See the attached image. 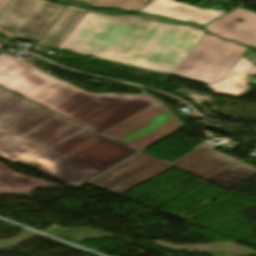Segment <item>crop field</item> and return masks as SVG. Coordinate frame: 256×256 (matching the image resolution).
Instances as JSON below:
<instances>
[{
	"label": "crop field",
	"mask_w": 256,
	"mask_h": 256,
	"mask_svg": "<svg viewBox=\"0 0 256 256\" xmlns=\"http://www.w3.org/2000/svg\"><path fill=\"white\" fill-rule=\"evenodd\" d=\"M137 152L0 88L1 157L83 184Z\"/></svg>",
	"instance_id": "obj_1"
},
{
	"label": "crop field",
	"mask_w": 256,
	"mask_h": 256,
	"mask_svg": "<svg viewBox=\"0 0 256 256\" xmlns=\"http://www.w3.org/2000/svg\"><path fill=\"white\" fill-rule=\"evenodd\" d=\"M205 31L87 12L59 48L171 75Z\"/></svg>",
	"instance_id": "obj_2"
},
{
	"label": "crop field",
	"mask_w": 256,
	"mask_h": 256,
	"mask_svg": "<svg viewBox=\"0 0 256 256\" xmlns=\"http://www.w3.org/2000/svg\"><path fill=\"white\" fill-rule=\"evenodd\" d=\"M0 86L101 133L158 101L148 94H91L8 54H0Z\"/></svg>",
	"instance_id": "obj_3"
},
{
	"label": "crop field",
	"mask_w": 256,
	"mask_h": 256,
	"mask_svg": "<svg viewBox=\"0 0 256 256\" xmlns=\"http://www.w3.org/2000/svg\"><path fill=\"white\" fill-rule=\"evenodd\" d=\"M244 50L241 45L205 33L172 75L205 85L222 81Z\"/></svg>",
	"instance_id": "obj_4"
},
{
	"label": "crop field",
	"mask_w": 256,
	"mask_h": 256,
	"mask_svg": "<svg viewBox=\"0 0 256 256\" xmlns=\"http://www.w3.org/2000/svg\"><path fill=\"white\" fill-rule=\"evenodd\" d=\"M183 125L158 101L103 134L141 150Z\"/></svg>",
	"instance_id": "obj_5"
},
{
	"label": "crop field",
	"mask_w": 256,
	"mask_h": 256,
	"mask_svg": "<svg viewBox=\"0 0 256 256\" xmlns=\"http://www.w3.org/2000/svg\"><path fill=\"white\" fill-rule=\"evenodd\" d=\"M63 8L44 0H13L0 17V30L10 38L39 41Z\"/></svg>",
	"instance_id": "obj_6"
},
{
	"label": "crop field",
	"mask_w": 256,
	"mask_h": 256,
	"mask_svg": "<svg viewBox=\"0 0 256 256\" xmlns=\"http://www.w3.org/2000/svg\"><path fill=\"white\" fill-rule=\"evenodd\" d=\"M171 167L141 153L89 184L118 195Z\"/></svg>",
	"instance_id": "obj_7"
},
{
	"label": "crop field",
	"mask_w": 256,
	"mask_h": 256,
	"mask_svg": "<svg viewBox=\"0 0 256 256\" xmlns=\"http://www.w3.org/2000/svg\"><path fill=\"white\" fill-rule=\"evenodd\" d=\"M243 19L240 23L238 20ZM206 30L226 40L256 47V14L237 9L205 26Z\"/></svg>",
	"instance_id": "obj_8"
},
{
	"label": "crop field",
	"mask_w": 256,
	"mask_h": 256,
	"mask_svg": "<svg viewBox=\"0 0 256 256\" xmlns=\"http://www.w3.org/2000/svg\"><path fill=\"white\" fill-rule=\"evenodd\" d=\"M176 0H152L140 12L187 21L200 26L222 16L215 10H202Z\"/></svg>",
	"instance_id": "obj_9"
},
{
	"label": "crop field",
	"mask_w": 256,
	"mask_h": 256,
	"mask_svg": "<svg viewBox=\"0 0 256 256\" xmlns=\"http://www.w3.org/2000/svg\"><path fill=\"white\" fill-rule=\"evenodd\" d=\"M215 147L207 143L172 165L204 179L236 160L212 150Z\"/></svg>",
	"instance_id": "obj_10"
},
{
	"label": "crop field",
	"mask_w": 256,
	"mask_h": 256,
	"mask_svg": "<svg viewBox=\"0 0 256 256\" xmlns=\"http://www.w3.org/2000/svg\"><path fill=\"white\" fill-rule=\"evenodd\" d=\"M248 74L255 76L256 66L241 57L224 81L210 84L208 87L214 93L239 96L249 91V86L246 85L249 81L245 79Z\"/></svg>",
	"instance_id": "obj_11"
},
{
	"label": "crop field",
	"mask_w": 256,
	"mask_h": 256,
	"mask_svg": "<svg viewBox=\"0 0 256 256\" xmlns=\"http://www.w3.org/2000/svg\"><path fill=\"white\" fill-rule=\"evenodd\" d=\"M86 12L85 10L68 6L41 44L57 48Z\"/></svg>",
	"instance_id": "obj_12"
},
{
	"label": "crop field",
	"mask_w": 256,
	"mask_h": 256,
	"mask_svg": "<svg viewBox=\"0 0 256 256\" xmlns=\"http://www.w3.org/2000/svg\"><path fill=\"white\" fill-rule=\"evenodd\" d=\"M254 175H256L255 168L236 161L205 180L230 190Z\"/></svg>",
	"instance_id": "obj_13"
},
{
	"label": "crop field",
	"mask_w": 256,
	"mask_h": 256,
	"mask_svg": "<svg viewBox=\"0 0 256 256\" xmlns=\"http://www.w3.org/2000/svg\"><path fill=\"white\" fill-rule=\"evenodd\" d=\"M55 187L54 185L16 175L0 163V193L27 194L34 188Z\"/></svg>",
	"instance_id": "obj_14"
},
{
	"label": "crop field",
	"mask_w": 256,
	"mask_h": 256,
	"mask_svg": "<svg viewBox=\"0 0 256 256\" xmlns=\"http://www.w3.org/2000/svg\"><path fill=\"white\" fill-rule=\"evenodd\" d=\"M99 8H119L127 11H140L150 0H74Z\"/></svg>",
	"instance_id": "obj_15"
},
{
	"label": "crop field",
	"mask_w": 256,
	"mask_h": 256,
	"mask_svg": "<svg viewBox=\"0 0 256 256\" xmlns=\"http://www.w3.org/2000/svg\"><path fill=\"white\" fill-rule=\"evenodd\" d=\"M137 16H143V17H149V18H158V19H162V20H165V21L171 22V23L187 24V23H183V22L173 21V20H169V19H164V18L149 16V15H144V14H138ZM188 25L193 26V27H195V28H198L197 26H194V25H191V24H188Z\"/></svg>",
	"instance_id": "obj_16"
},
{
	"label": "crop field",
	"mask_w": 256,
	"mask_h": 256,
	"mask_svg": "<svg viewBox=\"0 0 256 256\" xmlns=\"http://www.w3.org/2000/svg\"><path fill=\"white\" fill-rule=\"evenodd\" d=\"M10 0H0V12Z\"/></svg>",
	"instance_id": "obj_17"
},
{
	"label": "crop field",
	"mask_w": 256,
	"mask_h": 256,
	"mask_svg": "<svg viewBox=\"0 0 256 256\" xmlns=\"http://www.w3.org/2000/svg\"><path fill=\"white\" fill-rule=\"evenodd\" d=\"M90 172H94V170L90 171Z\"/></svg>",
	"instance_id": "obj_18"
}]
</instances>
